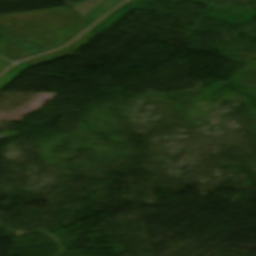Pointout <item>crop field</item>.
<instances>
[{
	"label": "crop field",
	"mask_w": 256,
	"mask_h": 256,
	"mask_svg": "<svg viewBox=\"0 0 256 256\" xmlns=\"http://www.w3.org/2000/svg\"><path fill=\"white\" fill-rule=\"evenodd\" d=\"M124 0H107L85 18H83L90 26L94 24L98 19H100L104 14L113 9L119 3Z\"/></svg>",
	"instance_id": "8a807250"
},
{
	"label": "crop field",
	"mask_w": 256,
	"mask_h": 256,
	"mask_svg": "<svg viewBox=\"0 0 256 256\" xmlns=\"http://www.w3.org/2000/svg\"><path fill=\"white\" fill-rule=\"evenodd\" d=\"M26 68H29V66L20 63L9 69L5 74L0 77V89L3 88L7 83H9L14 77H16Z\"/></svg>",
	"instance_id": "ac0d7876"
},
{
	"label": "crop field",
	"mask_w": 256,
	"mask_h": 256,
	"mask_svg": "<svg viewBox=\"0 0 256 256\" xmlns=\"http://www.w3.org/2000/svg\"><path fill=\"white\" fill-rule=\"evenodd\" d=\"M12 63L0 58V73L6 69L9 65H11Z\"/></svg>",
	"instance_id": "34b2d1b8"
}]
</instances>
